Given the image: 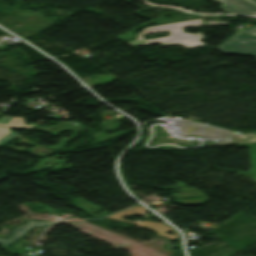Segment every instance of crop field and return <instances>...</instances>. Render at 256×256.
<instances>
[{"mask_svg":"<svg viewBox=\"0 0 256 256\" xmlns=\"http://www.w3.org/2000/svg\"><path fill=\"white\" fill-rule=\"evenodd\" d=\"M201 25H203L202 20L198 19V20L145 28L144 30H142L140 33L137 34L136 40L128 41V44L129 46L131 45L145 46V45L161 43L163 47L180 45L187 49L205 46V44L200 42L206 39L202 33L184 34L182 30L185 28L196 27ZM163 31L169 32L170 35L164 38L144 40V35L163 32Z\"/></svg>","mask_w":256,"mask_h":256,"instance_id":"obj_1","label":"crop field"},{"mask_svg":"<svg viewBox=\"0 0 256 256\" xmlns=\"http://www.w3.org/2000/svg\"><path fill=\"white\" fill-rule=\"evenodd\" d=\"M243 34L256 35V27L240 32ZM236 34L217 49L229 50L230 54H242L256 56V36Z\"/></svg>","mask_w":256,"mask_h":256,"instance_id":"obj_2","label":"crop field"},{"mask_svg":"<svg viewBox=\"0 0 256 256\" xmlns=\"http://www.w3.org/2000/svg\"><path fill=\"white\" fill-rule=\"evenodd\" d=\"M145 212H148V211H146L142 207L135 206V207H132L130 209H127V210L121 211L119 213H116L114 215H111L108 218L122 220L121 218L126 216V215L133 216V215L138 214V215L142 216V215H144ZM123 221H125V220H123ZM136 223H139L137 225L138 227H143V228L154 230L157 233L158 236H165L169 240L176 239L178 237L177 233L175 231H173L171 228H169L167 226H164L160 223H153V222H148V221H144V222L136 221ZM169 231L175 233L176 236H171L170 234H168L167 232H169Z\"/></svg>","mask_w":256,"mask_h":256,"instance_id":"obj_3","label":"crop field"},{"mask_svg":"<svg viewBox=\"0 0 256 256\" xmlns=\"http://www.w3.org/2000/svg\"><path fill=\"white\" fill-rule=\"evenodd\" d=\"M223 3L222 10L232 14H256V0H217Z\"/></svg>","mask_w":256,"mask_h":256,"instance_id":"obj_4","label":"crop field"},{"mask_svg":"<svg viewBox=\"0 0 256 256\" xmlns=\"http://www.w3.org/2000/svg\"><path fill=\"white\" fill-rule=\"evenodd\" d=\"M47 224L48 223H46V222H39V221L29 220L24 225H21V226H18L16 228L12 229L11 237L8 238L7 240L0 239V244L7 247L12 242H14L17 238H19L21 235H23L25 232L30 230L32 227H34V226L42 227V226H45Z\"/></svg>","mask_w":256,"mask_h":256,"instance_id":"obj_5","label":"crop field"},{"mask_svg":"<svg viewBox=\"0 0 256 256\" xmlns=\"http://www.w3.org/2000/svg\"><path fill=\"white\" fill-rule=\"evenodd\" d=\"M33 124H29L28 126H26L25 128H13V129H23V130H27L30 126H32ZM10 127H0V148H2L5 144H7L8 142H10L11 140H13L14 138H16L17 134H15L14 132L10 131Z\"/></svg>","mask_w":256,"mask_h":256,"instance_id":"obj_6","label":"crop field"},{"mask_svg":"<svg viewBox=\"0 0 256 256\" xmlns=\"http://www.w3.org/2000/svg\"><path fill=\"white\" fill-rule=\"evenodd\" d=\"M24 119L25 118L2 116L0 118V126L25 127ZM13 122H16V124H13Z\"/></svg>","mask_w":256,"mask_h":256,"instance_id":"obj_7","label":"crop field"},{"mask_svg":"<svg viewBox=\"0 0 256 256\" xmlns=\"http://www.w3.org/2000/svg\"><path fill=\"white\" fill-rule=\"evenodd\" d=\"M207 25H230L229 22L205 21Z\"/></svg>","mask_w":256,"mask_h":256,"instance_id":"obj_8","label":"crop field"}]
</instances>
